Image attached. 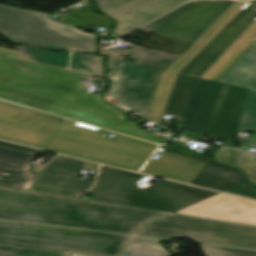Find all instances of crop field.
<instances>
[{
	"label": "crop field",
	"instance_id": "17",
	"mask_svg": "<svg viewBox=\"0 0 256 256\" xmlns=\"http://www.w3.org/2000/svg\"><path fill=\"white\" fill-rule=\"evenodd\" d=\"M92 186V182L36 173L30 190L72 197L76 192L87 191Z\"/></svg>",
	"mask_w": 256,
	"mask_h": 256
},
{
	"label": "crop field",
	"instance_id": "5",
	"mask_svg": "<svg viewBox=\"0 0 256 256\" xmlns=\"http://www.w3.org/2000/svg\"><path fill=\"white\" fill-rule=\"evenodd\" d=\"M143 175L102 165L93 189L94 201L175 212L218 192L207 191L165 180L140 190L136 184Z\"/></svg>",
	"mask_w": 256,
	"mask_h": 256
},
{
	"label": "crop field",
	"instance_id": "21",
	"mask_svg": "<svg viewBox=\"0 0 256 256\" xmlns=\"http://www.w3.org/2000/svg\"><path fill=\"white\" fill-rule=\"evenodd\" d=\"M71 253L0 245V256H70Z\"/></svg>",
	"mask_w": 256,
	"mask_h": 256
},
{
	"label": "crop field",
	"instance_id": "13",
	"mask_svg": "<svg viewBox=\"0 0 256 256\" xmlns=\"http://www.w3.org/2000/svg\"><path fill=\"white\" fill-rule=\"evenodd\" d=\"M177 212L256 225L255 201L223 193H219Z\"/></svg>",
	"mask_w": 256,
	"mask_h": 256
},
{
	"label": "crop field",
	"instance_id": "23",
	"mask_svg": "<svg viewBox=\"0 0 256 256\" xmlns=\"http://www.w3.org/2000/svg\"><path fill=\"white\" fill-rule=\"evenodd\" d=\"M206 256H256V251L203 245L200 244Z\"/></svg>",
	"mask_w": 256,
	"mask_h": 256
},
{
	"label": "crop field",
	"instance_id": "24",
	"mask_svg": "<svg viewBox=\"0 0 256 256\" xmlns=\"http://www.w3.org/2000/svg\"><path fill=\"white\" fill-rule=\"evenodd\" d=\"M225 192L256 199V187L247 184L231 188Z\"/></svg>",
	"mask_w": 256,
	"mask_h": 256
},
{
	"label": "crop field",
	"instance_id": "27",
	"mask_svg": "<svg viewBox=\"0 0 256 256\" xmlns=\"http://www.w3.org/2000/svg\"><path fill=\"white\" fill-rule=\"evenodd\" d=\"M109 80H110V82H111V86H110L109 90H108V91H106L105 93H106V94H108V95H111V93H112V91H113V88H114V85H115L116 80H112V79H109Z\"/></svg>",
	"mask_w": 256,
	"mask_h": 256
},
{
	"label": "crop field",
	"instance_id": "8",
	"mask_svg": "<svg viewBox=\"0 0 256 256\" xmlns=\"http://www.w3.org/2000/svg\"><path fill=\"white\" fill-rule=\"evenodd\" d=\"M137 235L187 237L201 243L256 249V227L170 215L153 220Z\"/></svg>",
	"mask_w": 256,
	"mask_h": 256
},
{
	"label": "crop field",
	"instance_id": "18",
	"mask_svg": "<svg viewBox=\"0 0 256 256\" xmlns=\"http://www.w3.org/2000/svg\"><path fill=\"white\" fill-rule=\"evenodd\" d=\"M160 240L132 236L121 256H171L158 243Z\"/></svg>",
	"mask_w": 256,
	"mask_h": 256
},
{
	"label": "crop field",
	"instance_id": "4",
	"mask_svg": "<svg viewBox=\"0 0 256 256\" xmlns=\"http://www.w3.org/2000/svg\"><path fill=\"white\" fill-rule=\"evenodd\" d=\"M167 213L0 187V219L132 234Z\"/></svg>",
	"mask_w": 256,
	"mask_h": 256
},
{
	"label": "crop field",
	"instance_id": "16",
	"mask_svg": "<svg viewBox=\"0 0 256 256\" xmlns=\"http://www.w3.org/2000/svg\"><path fill=\"white\" fill-rule=\"evenodd\" d=\"M247 178L238 169L221 165L210 159L192 183H190L223 191L229 187L246 182Z\"/></svg>",
	"mask_w": 256,
	"mask_h": 256
},
{
	"label": "crop field",
	"instance_id": "3",
	"mask_svg": "<svg viewBox=\"0 0 256 256\" xmlns=\"http://www.w3.org/2000/svg\"><path fill=\"white\" fill-rule=\"evenodd\" d=\"M0 100V138L137 171L157 145Z\"/></svg>",
	"mask_w": 256,
	"mask_h": 256
},
{
	"label": "crop field",
	"instance_id": "12",
	"mask_svg": "<svg viewBox=\"0 0 256 256\" xmlns=\"http://www.w3.org/2000/svg\"><path fill=\"white\" fill-rule=\"evenodd\" d=\"M156 161L149 159L141 173L190 184L209 158L188 150L184 145L161 146Z\"/></svg>",
	"mask_w": 256,
	"mask_h": 256
},
{
	"label": "crop field",
	"instance_id": "26",
	"mask_svg": "<svg viewBox=\"0 0 256 256\" xmlns=\"http://www.w3.org/2000/svg\"><path fill=\"white\" fill-rule=\"evenodd\" d=\"M13 58V52L11 50L3 49L0 47V59Z\"/></svg>",
	"mask_w": 256,
	"mask_h": 256
},
{
	"label": "crop field",
	"instance_id": "25",
	"mask_svg": "<svg viewBox=\"0 0 256 256\" xmlns=\"http://www.w3.org/2000/svg\"><path fill=\"white\" fill-rule=\"evenodd\" d=\"M233 150L220 147L212 158L224 163ZM233 153V152H232Z\"/></svg>",
	"mask_w": 256,
	"mask_h": 256
},
{
	"label": "crop field",
	"instance_id": "11",
	"mask_svg": "<svg viewBox=\"0 0 256 256\" xmlns=\"http://www.w3.org/2000/svg\"><path fill=\"white\" fill-rule=\"evenodd\" d=\"M217 81L248 89L236 131H253L255 135L240 149L256 147V42Z\"/></svg>",
	"mask_w": 256,
	"mask_h": 256
},
{
	"label": "crop field",
	"instance_id": "10",
	"mask_svg": "<svg viewBox=\"0 0 256 256\" xmlns=\"http://www.w3.org/2000/svg\"><path fill=\"white\" fill-rule=\"evenodd\" d=\"M117 22L113 32L123 36L187 0H93Z\"/></svg>",
	"mask_w": 256,
	"mask_h": 256
},
{
	"label": "crop field",
	"instance_id": "2",
	"mask_svg": "<svg viewBox=\"0 0 256 256\" xmlns=\"http://www.w3.org/2000/svg\"><path fill=\"white\" fill-rule=\"evenodd\" d=\"M83 74L18 59L0 61V98L129 136L162 143L121 111L80 88Z\"/></svg>",
	"mask_w": 256,
	"mask_h": 256
},
{
	"label": "crop field",
	"instance_id": "14",
	"mask_svg": "<svg viewBox=\"0 0 256 256\" xmlns=\"http://www.w3.org/2000/svg\"><path fill=\"white\" fill-rule=\"evenodd\" d=\"M37 151L0 141V186L29 190L35 174L29 171Z\"/></svg>",
	"mask_w": 256,
	"mask_h": 256
},
{
	"label": "crop field",
	"instance_id": "20",
	"mask_svg": "<svg viewBox=\"0 0 256 256\" xmlns=\"http://www.w3.org/2000/svg\"><path fill=\"white\" fill-rule=\"evenodd\" d=\"M256 154L235 150L226 160L225 164L239 167L250 178L249 181L256 185Z\"/></svg>",
	"mask_w": 256,
	"mask_h": 256
},
{
	"label": "crop field",
	"instance_id": "6",
	"mask_svg": "<svg viewBox=\"0 0 256 256\" xmlns=\"http://www.w3.org/2000/svg\"><path fill=\"white\" fill-rule=\"evenodd\" d=\"M49 14L0 4V34L13 44H27L52 51L96 52L94 34L47 19Z\"/></svg>",
	"mask_w": 256,
	"mask_h": 256
},
{
	"label": "crop field",
	"instance_id": "9",
	"mask_svg": "<svg viewBox=\"0 0 256 256\" xmlns=\"http://www.w3.org/2000/svg\"><path fill=\"white\" fill-rule=\"evenodd\" d=\"M179 55L135 46L133 63H124L113 98L146 115L162 69L168 68ZM155 84L151 85V82Z\"/></svg>",
	"mask_w": 256,
	"mask_h": 256
},
{
	"label": "crop field",
	"instance_id": "19",
	"mask_svg": "<svg viewBox=\"0 0 256 256\" xmlns=\"http://www.w3.org/2000/svg\"><path fill=\"white\" fill-rule=\"evenodd\" d=\"M85 161L58 155L40 173L77 179Z\"/></svg>",
	"mask_w": 256,
	"mask_h": 256
},
{
	"label": "crop field",
	"instance_id": "1",
	"mask_svg": "<svg viewBox=\"0 0 256 256\" xmlns=\"http://www.w3.org/2000/svg\"><path fill=\"white\" fill-rule=\"evenodd\" d=\"M256 4L192 1L141 30L195 41L163 70L146 117L233 144L247 89L215 82L256 41Z\"/></svg>",
	"mask_w": 256,
	"mask_h": 256
},
{
	"label": "crop field",
	"instance_id": "22",
	"mask_svg": "<svg viewBox=\"0 0 256 256\" xmlns=\"http://www.w3.org/2000/svg\"><path fill=\"white\" fill-rule=\"evenodd\" d=\"M130 50H117V49H100V54H108V64H107V76L110 78L117 79L121 64L124 57H119L118 55H127Z\"/></svg>",
	"mask_w": 256,
	"mask_h": 256
},
{
	"label": "crop field",
	"instance_id": "7",
	"mask_svg": "<svg viewBox=\"0 0 256 256\" xmlns=\"http://www.w3.org/2000/svg\"><path fill=\"white\" fill-rule=\"evenodd\" d=\"M0 220V242L117 256L130 236Z\"/></svg>",
	"mask_w": 256,
	"mask_h": 256
},
{
	"label": "crop field",
	"instance_id": "15",
	"mask_svg": "<svg viewBox=\"0 0 256 256\" xmlns=\"http://www.w3.org/2000/svg\"><path fill=\"white\" fill-rule=\"evenodd\" d=\"M15 50L21 59L105 77L102 57L95 54L53 53L29 46H15Z\"/></svg>",
	"mask_w": 256,
	"mask_h": 256
},
{
	"label": "crop field",
	"instance_id": "28",
	"mask_svg": "<svg viewBox=\"0 0 256 256\" xmlns=\"http://www.w3.org/2000/svg\"><path fill=\"white\" fill-rule=\"evenodd\" d=\"M71 256H92V255H84V254L72 253Z\"/></svg>",
	"mask_w": 256,
	"mask_h": 256
}]
</instances>
